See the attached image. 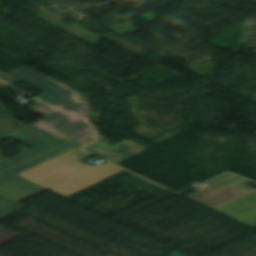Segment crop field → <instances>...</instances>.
Wrapping results in <instances>:
<instances>
[{
	"mask_svg": "<svg viewBox=\"0 0 256 256\" xmlns=\"http://www.w3.org/2000/svg\"><path fill=\"white\" fill-rule=\"evenodd\" d=\"M79 147L96 139L86 120L59 111L32 124Z\"/></svg>",
	"mask_w": 256,
	"mask_h": 256,
	"instance_id": "34b2d1b8",
	"label": "crop field"
},
{
	"mask_svg": "<svg viewBox=\"0 0 256 256\" xmlns=\"http://www.w3.org/2000/svg\"><path fill=\"white\" fill-rule=\"evenodd\" d=\"M245 181L227 173L198 186V192L186 197L255 228L256 195L244 186Z\"/></svg>",
	"mask_w": 256,
	"mask_h": 256,
	"instance_id": "ac0d7876",
	"label": "crop field"
},
{
	"mask_svg": "<svg viewBox=\"0 0 256 256\" xmlns=\"http://www.w3.org/2000/svg\"><path fill=\"white\" fill-rule=\"evenodd\" d=\"M32 101L38 104L37 107L32 108V111H35V112L41 114L44 117L59 111V110H57V109H55V108H53V107H51V106L41 102V101H38L36 99H34Z\"/></svg>",
	"mask_w": 256,
	"mask_h": 256,
	"instance_id": "5a996713",
	"label": "crop field"
},
{
	"mask_svg": "<svg viewBox=\"0 0 256 256\" xmlns=\"http://www.w3.org/2000/svg\"><path fill=\"white\" fill-rule=\"evenodd\" d=\"M10 87L9 85L0 81V89ZM4 105L0 103V129L11 134L17 130H20L26 126L16 122L11 118L7 111L3 109Z\"/></svg>",
	"mask_w": 256,
	"mask_h": 256,
	"instance_id": "e52e79f7",
	"label": "crop field"
},
{
	"mask_svg": "<svg viewBox=\"0 0 256 256\" xmlns=\"http://www.w3.org/2000/svg\"><path fill=\"white\" fill-rule=\"evenodd\" d=\"M37 73L28 67H23L7 74L0 72V78L10 84L23 80L24 83L46 93L38 99L47 101L51 105L55 104L60 109L74 103L71 96L74 93L64 89L65 87L59 86L41 74L37 75Z\"/></svg>",
	"mask_w": 256,
	"mask_h": 256,
	"instance_id": "412701ff",
	"label": "crop field"
},
{
	"mask_svg": "<svg viewBox=\"0 0 256 256\" xmlns=\"http://www.w3.org/2000/svg\"><path fill=\"white\" fill-rule=\"evenodd\" d=\"M6 135H8V134L0 130V137H1V138L4 137V136H6Z\"/></svg>",
	"mask_w": 256,
	"mask_h": 256,
	"instance_id": "d1516ede",
	"label": "crop field"
},
{
	"mask_svg": "<svg viewBox=\"0 0 256 256\" xmlns=\"http://www.w3.org/2000/svg\"><path fill=\"white\" fill-rule=\"evenodd\" d=\"M8 137L31 149L7 160L0 156V167L65 197L124 171L108 162L83 164L93 155L32 125L0 141Z\"/></svg>",
	"mask_w": 256,
	"mask_h": 256,
	"instance_id": "8a807250",
	"label": "crop field"
},
{
	"mask_svg": "<svg viewBox=\"0 0 256 256\" xmlns=\"http://www.w3.org/2000/svg\"><path fill=\"white\" fill-rule=\"evenodd\" d=\"M64 111L70 113V114H73V115H76V116H80V117H84V118H88L86 116V113L83 109V105L82 104H73L65 109H63Z\"/></svg>",
	"mask_w": 256,
	"mask_h": 256,
	"instance_id": "3316defc",
	"label": "crop field"
},
{
	"mask_svg": "<svg viewBox=\"0 0 256 256\" xmlns=\"http://www.w3.org/2000/svg\"><path fill=\"white\" fill-rule=\"evenodd\" d=\"M25 206L9 200L0 195V218H4L5 216L23 208Z\"/></svg>",
	"mask_w": 256,
	"mask_h": 256,
	"instance_id": "d8731c3e",
	"label": "crop field"
},
{
	"mask_svg": "<svg viewBox=\"0 0 256 256\" xmlns=\"http://www.w3.org/2000/svg\"><path fill=\"white\" fill-rule=\"evenodd\" d=\"M12 181L8 184L6 182ZM22 182V183H19ZM9 187H12L9 189ZM42 187L22 179L14 174L0 169V194L14 201L40 189ZM7 189L4 192L3 190Z\"/></svg>",
	"mask_w": 256,
	"mask_h": 256,
	"instance_id": "dd49c442",
	"label": "crop field"
},
{
	"mask_svg": "<svg viewBox=\"0 0 256 256\" xmlns=\"http://www.w3.org/2000/svg\"><path fill=\"white\" fill-rule=\"evenodd\" d=\"M84 150L119 164L139 153L146 151L147 149L143 146L124 140L112 146L98 141L84 148Z\"/></svg>",
	"mask_w": 256,
	"mask_h": 256,
	"instance_id": "f4fd0767",
	"label": "crop field"
},
{
	"mask_svg": "<svg viewBox=\"0 0 256 256\" xmlns=\"http://www.w3.org/2000/svg\"><path fill=\"white\" fill-rule=\"evenodd\" d=\"M18 235H20V234L15 233L11 230H8V229L0 226V244L18 236Z\"/></svg>",
	"mask_w": 256,
	"mask_h": 256,
	"instance_id": "28ad6ade",
	"label": "crop field"
}]
</instances>
